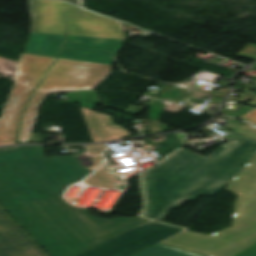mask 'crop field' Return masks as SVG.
I'll list each match as a JSON object with an SVG mask.
<instances>
[{"mask_svg": "<svg viewBox=\"0 0 256 256\" xmlns=\"http://www.w3.org/2000/svg\"><path fill=\"white\" fill-rule=\"evenodd\" d=\"M75 156L44 157L41 146L0 148V202L50 256H76L144 221L102 220L58 200L64 188L97 169Z\"/></svg>", "mask_w": 256, "mask_h": 256, "instance_id": "crop-field-1", "label": "crop field"}, {"mask_svg": "<svg viewBox=\"0 0 256 256\" xmlns=\"http://www.w3.org/2000/svg\"><path fill=\"white\" fill-rule=\"evenodd\" d=\"M207 159L178 150L143 173L141 184L146 205L142 216L163 221L171 208L214 196L256 154V141L237 133Z\"/></svg>", "mask_w": 256, "mask_h": 256, "instance_id": "crop-field-2", "label": "crop field"}, {"mask_svg": "<svg viewBox=\"0 0 256 256\" xmlns=\"http://www.w3.org/2000/svg\"><path fill=\"white\" fill-rule=\"evenodd\" d=\"M225 190L238 195L232 227L209 236L185 231L164 244L204 256H234L256 242V155Z\"/></svg>", "mask_w": 256, "mask_h": 256, "instance_id": "crop-field-3", "label": "crop field"}, {"mask_svg": "<svg viewBox=\"0 0 256 256\" xmlns=\"http://www.w3.org/2000/svg\"><path fill=\"white\" fill-rule=\"evenodd\" d=\"M54 60L51 57L21 54L15 82L0 117V141H16L22 112Z\"/></svg>", "mask_w": 256, "mask_h": 256, "instance_id": "crop-field-4", "label": "crop field"}, {"mask_svg": "<svg viewBox=\"0 0 256 256\" xmlns=\"http://www.w3.org/2000/svg\"><path fill=\"white\" fill-rule=\"evenodd\" d=\"M184 229L146 221L78 256H131Z\"/></svg>", "mask_w": 256, "mask_h": 256, "instance_id": "crop-field-5", "label": "crop field"}, {"mask_svg": "<svg viewBox=\"0 0 256 256\" xmlns=\"http://www.w3.org/2000/svg\"><path fill=\"white\" fill-rule=\"evenodd\" d=\"M65 20L69 29L68 35L125 40L117 20L91 11L72 5L65 14Z\"/></svg>", "mask_w": 256, "mask_h": 256, "instance_id": "crop-field-6", "label": "crop field"}, {"mask_svg": "<svg viewBox=\"0 0 256 256\" xmlns=\"http://www.w3.org/2000/svg\"><path fill=\"white\" fill-rule=\"evenodd\" d=\"M112 65L57 58L45 79L83 83L80 90H93Z\"/></svg>", "mask_w": 256, "mask_h": 256, "instance_id": "crop-field-7", "label": "crop field"}, {"mask_svg": "<svg viewBox=\"0 0 256 256\" xmlns=\"http://www.w3.org/2000/svg\"><path fill=\"white\" fill-rule=\"evenodd\" d=\"M67 40H81L84 43H70ZM123 40L68 36L59 57L113 64Z\"/></svg>", "mask_w": 256, "mask_h": 256, "instance_id": "crop-field-8", "label": "crop field"}, {"mask_svg": "<svg viewBox=\"0 0 256 256\" xmlns=\"http://www.w3.org/2000/svg\"><path fill=\"white\" fill-rule=\"evenodd\" d=\"M4 211L0 207V256H48Z\"/></svg>", "mask_w": 256, "mask_h": 256, "instance_id": "crop-field-9", "label": "crop field"}, {"mask_svg": "<svg viewBox=\"0 0 256 256\" xmlns=\"http://www.w3.org/2000/svg\"><path fill=\"white\" fill-rule=\"evenodd\" d=\"M32 16L31 32L66 35L63 14L70 4L57 0H28Z\"/></svg>", "mask_w": 256, "mask_h": 256, "instance_id": "crop-field-10", "label": "crop field"}, {"mask_svg": "<svg viewBox=\"0 0 256 256\" xmlns=\"http://www.w3.org/2000/svg\"><path fill=\"white\" fill-rule=\"evenodd\" d=\"M81 110L93 142L112 141L133 136L121 125L114 124L111 116L84 107H81Z\"/></svg>", "mask_w": 256, "mask_h": 256, "instance_id": "crop-field-11", "label": "crop field"}, {"mask_svg": "<svg viewBox=\"0 0 256 256\" xmlns=\"http://www.w3.org/2000/svg\"><path fill=\"white\" fill-rule=\"evenodd\" d=\"M81 84L43 80L38 90L34 93L23 117L19 141H29L32 127L34 125L37 110L43 99L50 91H75L79 90Z\"/></svg>", "mask_w": 256, "mask_h": 256, "instance_id": "crop-field-12", "label": "crop field"}, {"mask_svg": "<svg viewBox=\"0 0 256 256\" xmlns=\"http://www.w3.org/2000/svg\"><path fill=\"white\" fill-rule=\"evenodd\" d=\"M66 36L31 33L25 53L56 57Z\"/></svg>", "mask_w": 256, "mask_h": 256, "instance_id": "crop-field-13", "label": "crop field"}, {"mask_svg": "<svg viewBox=\"0 0 256 256\" xmlns=\"http://www.w3.org/2000/svg\"><path fill=\"white\" fill-rule=\"evenodd\" d=\"M133 256H200L180 249H176L163 244H156Z\"/></svg>", "mask_w": 256, "mask_h": 256, "instance_id": "crop-field-14", "label": "crop field"}, {"mask_svg": "<svg viewBox=\"0 0 256 256\" xmlns=\"http://www.w3.org/2000/svg\"><path fill=\"white\" fill-rule=\"evenodd\" d=\"M70 100H62L63 102L79 101L81 106L95 109L94 103L101 104L97 92H74L69 93Z\"/></svg>", "mask_w": 256, "mask_h": 256, "instance_id": "crop-field-15", "label": "crop field"}, {"mask_svg": "<svg viewBox=\"0 0 256 256\" xmlns=\"http://www.w3.org/2000/svg\"><path fill=\"white\" fill-rule=\"evenodd\" d=\"M85 182L89 185L103 187V188L123 189L125 187V183L109 182L104 177H102L98 172L91 175Z\"/></svg>", "mask_w": 256, "mask_h": 256, "instance_id": "crop-field-16", "label": "crop field"}, {"mask_svg": "<svg viewBox=\"0 0 256 256\" xmlns=\"http://www.w3.org/2000/svg\"><path fill=\"white\" fill-rule=\"evenodd\" d=\"M190 94L191 92L189 91H184V90L172 87L166 93H164L161 97H159V99H163V100H167L175 103H178L180 101L186 102L191 99L188 97Z\"/></svg>", "mask_w": 256, "mask_h": 256, "instance_id": "crop-field-17", "label": "crop field"}, {"mask_svg": "<svg viewBox=\"0 0 256 256\" xmlns=\"http://www.w3.org/2000/svg\"><path fill=\"white\" fill-rule=\"evenodd\" d=\"M161 102L156 100L148 106L150 122H158L159 116L163 113L166 106L161 105Z\"/></svg>", "mask_w": 256, "mask_h": 256, "instance_id": "crop-field-18", "label": "crop field"}, {"mask_svg": "<svg viewBox=\"0 0 256 256\" xmlns=\"http://www.w3.org/2000/svg\"><path fill=\"white\" fill-rule=\"evenodd\" d=\"M101 175H103L107 180L112 182H123L122 179L117 175V173L113 170L110 164L105 165L103 168L98 171Z\"/></svg>", "mask_w": 256, "mask_h": 256, "instance_id": "crop-field-19", "label": "crop field"}, {"mask_svg": "<svg viewBox=\"0 0 256 256\" xmlns=\"http://www.w3.org/2000/svg\"><path fill=\"white\" fill-rule=\"evenodd\" d=\"M237 56L256 60V45L250 44Z\"/></svg>", "mask_w": 256, "mask_h": 256, "instance_id": "crop-field-20", "label": "crop field"}, {"mask_svg": "<svg viewBox=\"0 0 256 256\" xmlns=\"http://www.w3.org/2000/svg\"><path fill=\"white\" fill-rule=\"evenodd\" d=\"M253 109H255V108L242 107L237 112L236 111H232V110H226V109H222L221 112L225 113L227 115L234 116V117L238 118L240 116L241 117L244 116L245 114H247L248 112L252 111Z\"/></svg>", "mask_w": 256, "mask_h": 256, "instance_id": "crop-field-21", "label": "crop field"}, {"mask_svg": "<svg viewBox=\"0 0 256 256\" xmlns=\"http://www.w3.org/2000/svg\"><path fill=\"white\" fill-rule=\"evenodd\" d=\"M238 133H241L243 135H246V136L256 139V127L251 124H248L247 126H245Z\"/></svg>", "mask_w": 256, "mask_h": 256, "instance_id": "crop-field-22", "label": "crop field"}, {"mask_svg": "<svg viewBox=\"0 0 256 256\" xmlns=\"http://www.w3.org/2000/svg\"><path fill=\"white\" fill-rule=\"evenodd\" d=\"M89 154L102 153L104 150V144L88 146Z\"/></svg>", "mask_w": 256, "mask_h": 256, "instance_id": "crop-field-23", "label": "crop field"}, {"mask_svg": "<svg viewBox=\"0 0 256 256\" xmlns=\"http://www.w3.org/2000/svg\"><path fill=\"white\" fill-rule=\"evenodd\" d=\"M242 120H246L249 122L256 123V109L250 112L249 114L245 115Z\"/></svg>", "mask_w": 256, "mask_h": 256, "instance_id": "crop-field-24", "label": "crop field"}, {"mask_svg": "<svg viewBox=\"0 0 256 256\" xmlns=\"http://www.w3.org/2000/svg\"><path fill=\"white\" fill-rule=\"evenodd\" d=\"M234 122L239 123V122L233 120L226 127H228L230 130H233L235 132H237L238 130H240L242 127H244L246 125V124H244V125L240 126V125H238V124H236Z\"/></svg>", "mask_w": 256, "mask_h": 256, "instance_id": "crop-field-25", "label": "crop field"}, {"mask_svg": "<svg viewBox=\"0 0 256 256\" xmlns=\"http://www.w3.org/2000/svg\"><path fill=\"white\" fill-rule=\"evenodd\" d=\"M67 1L82 7V1L81 0H67Z\"/></svg>", "mask_w": 256, "mask_h": 256, "instance_id": "crop-field-26", "label": "crop field"}, {"mask_svg": "<svg viewBox=\"0 0 256 256\" xmlns=\"http://www.w3.org/2000/svg\"><path fill=\"white\" fill-rule=\"evenodd\" d=\"M243 256H256V248Z\"/></svg>", "mask_w": 256, "mask_h": 256, "instance_id": "crop-field-27", "label": "crop field"}, {"mask_svg": "<svg viewBox=\"0 0 256 256\" xmlns=\"http://www.w3.org/2000/svg\"><path fill=\"white\" fill-rule=\"evenodd\" d=\"M248 106L256 107V97L248 104Z\"/></svg>", "mask_w": 256, "mask_h": 256, "instance_id": "crop-field-28", "label": "crop field"}, {"mask_svg": "<svg viewBox=\"0 0 256 256\" xmlns=\"http://www.w3.org/2000/svg\"><path fill=\"white\" fill-rule=\"evenodd\" d=\"M13 143H16V142H0V145L13 144Z\"/></svg>", "mask_w": 256, "mask_h": 256, "instance_id": "crop-field-29", "label": "crop field"}, {"mask_svg": "<svg viewBox=\"0 0 256 256\" xmlns=\"http://www.w3.org/2000/svg\"><path fill=\"white\" fill-rule=\"evenodd\" d=\"M250 88L256 89V83L252 87H250Z\"/></svg>", "mask_w": 256, "mask_h": 256, "instance_id": "crop-field-30", "label": "crop field"}]
</instances>
